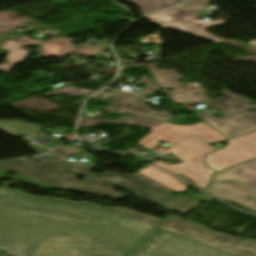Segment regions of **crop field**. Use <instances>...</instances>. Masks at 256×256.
Segmentation results:
<instances>
[{
	"label": "crop field",
	"instance_id": "bd1437ed",
	"mask_svg": "<svg viewBox=\"0 0 256 256\" xmlns=\"http://www.w3.org/2000/svg\"><path fill=\"white\" fill-rule=\"evenodd\" d=\"M13 247H16V248H19V249H23L24 247H25V245L24 244H21V243H19V242H13L12 244H11Z\"/></svg>",
	"mask_w": 256,
	"mask_h": 256
},
{
	"label": "crop field",
	"instance_id": "22f410ed",
	"mask_svg": "<svg viewBox=\"0 0 256 256\" xmlns=\"http://www.w3.org/2000/svg\"><path fill=\"white\" fill-rule=\"evenodd\" d=\"M151 75H153L156 81L164 88V91H167V88H174L173 91H168L171 95L167 97L174 104L199 103L207 99V96L204 95L205 92L199 84H182L176 82L182 77L172 69L169 71L160 69ZM183 85H186L187 87H181Z\"/></svg>",
	"mask_w": 256,
	"mask_h": 256
},
{
	"label": "crop field",
	"instance_id": "4177f3b9",
	"mask_svg": "<svg viewBox=\"0 0 256 256\" xmlns=\"http://www.w3.org/2000/svg\"><path fill=\"white\" fill-rule=\"evenodd\" d=\"M139 82L144 84L145 86L149 87L145 90L137 92L140 95H143V94L149 93L151 91L160 89V87L158 85L152 83L146 76H143V77L139 78Z\"/></svg>",
	"mask_w": 256,
	"mask_h": 256
},
{
	"label": "crop field",
	"instance_id": "120bbe31",
	"mask_svg": "<svg viewBox=\"0 0 256 256\" xmlns=\"http://www.w3.org/2000/svg\"><path fill=\"white\" fill-rule=\"evenodd\" d=\"M1 251V250H0Z\"/></svg>",
	"mask_w": 256,
	"mask_h": 256
},
{
	"label": "crop field",
	"instance_id": "e52e79f7",
	"mask_svg": "<svg viewBox=\"0 0 256 256\" xmlns=\"http://www.w3.org/2000/svg\"><path fill=\"white\" fill-rule=\"evenodd\" d=\"M202 7H190L167 10L156 13L146 19L151 20L166 28L183 30L189 34L217 42L224 40L206 31L207 28L225 24L226 21L203 22L196 19Z\"/></svg>",
	"mask_w": 256,
	"mask_h": 256
},
{
	"label": "crop field",
	"instance_id": "733c2abd",
	"mask_svg": "<svg viewBox=\"0 0 256 256\" xmlns=\"http://www.w3.org/2000/svg\"><path fill=\"white\" fill-rule=\"evenodd\" d=\"M139 173L177 191V192H181L184 191L186 187L184 184H182L181 182L173 179L171 176H168L167 173L165 172H161L159 169H155L151 166L146 167L142 170L139 171Z\"/></svg>",
	"mask_w": 256,
	"mask_h": 256
},
{
	"label": "crop field",
	"instance_id": "1d83c4d3",
	"mask_svg": "<svg viewBox=\"0 0 256 256\" xmlns=\"http://www.w3.org/2000/svg\"><path fill=\"white\" fill-rule=\"evenodd\" d=\"M246 46L256 49V40L247 43Z\"/></svg>",
	"mask_w": 256,
	"mask_h": 256
},
{
	"label": "crop field",
	"instance_id": "dd49c442",
	"mask_svg": "<svg viewBox=\"0 0 256 256\" xmlns=\"http://www.w3.org/2000/svg\"><path fill=\"white\" fill-rule=\"evenodd\" d=\"M53 164L72 170L77 173L89 174L100 176L115 184L128 188L136 192V194L142 198H145L154 203H160L170 197L174 192L138 173L134 175H119L111 172H107L102 175L89 173L90 167L80 162H70L68 159L58 156L46 155ZM57 158L58 161H54ZM149 188L150 190H147Z\"/></svg>",
	"mask_w": 256,
	"mask_h": 256
},
{
	"label": "crop field",
	"instance_id": "730fd06b",
	"mask_svg": "<svg viewBox=\"0 0 256 256\" xmlns=\"http://www.w3.org/2000/svg\"><path fill=\"white\" fill-rule=\"evenodd\" d=\"M142 44H148V43H161V39L158 35H149L145 39H141Z\"/></svg>",
	"mask_w": 256,
	"mask_h": 256
},
{
	"label": "crop field",
	"instance_id": "34b2d1b8",
	"mask_svg": "<svg viewBox=\"0 0 256 256\" xmlns=\"http://www.w3.org/2000/svg\"><path fill=\"white\" fill-rule=\"evenodd\" d=\"M213 177V181L205 191L256 212V159L236 165ZM215 180L235 181L236 184L217 183ZM247 196L253 199L248 201L245 199Z\"/></svg>",
	"mask_w": 256,
	"mask_h": 256
},
{
	"label": "crop field",
	"instance_id": "412701ff",
	"mask_svg": "<svg viewBox=\"0 0 256 256\" xmlns=\"http://www.w3.org/2000/svg\"><path fill=\"white\" fill-rule=\"evenodd\" d=\"M195 137L190 136L168 147V150L172 151L173 155L184 161L183 163L169 165L158 161L154 165L170 173L183 174L191 178L202 189L211 181L210 175L215 173L203 164L202 159L205 154L214 149Z\"/></svg>",
	"mask_w": 256,
	"mask_h": 256
},
{
	"label": "crop field",
	"instance_id": "cbeb9de0",
	"mask_svg": "<svg viewBox=\"0 0 256 256\" xmlns=\"http://www.w3.org/2000/svg\"><path fill=\"white\" fill-rule=\"evenodd\" d=\"M95 96L112 98L115 100V104L104 108L106 110L117 111V112L144 116V117H150V118H155V119L164 120V121L175 119L169 114L151 110L150 108H148L146 105H144L142 102H140L137 99L138 97L137 95H133L130 93L100 92Z\"/></svg>",
	"mask_w": 256,
	"mask_h": 256
},
{
	"label": "crop field",
	"instance_id": "5142ce71",
	"mask_svg": "<svg viewBox=\"0 0 256 256\" xmlns=\"http://www.w3.org/2000/svg\"><path fill=\"white\" fill-rule=\"evenodd\" d=\"M222 93L224 94L223 98L217 99L215 101L206 100L204 102L225 114L240 110V108H246L250 106V103L253 102L242 96L232 94L228 90L222 91Z\"/></svg>",
	"mask_w": 256,
	"mask_h": 256
},
{
	"label": "crop field",
	"instance_id": "eef30255",
	"mask_svg": "<svg viewBox=\"0 0 256 256\" xmlns=\"http://www.w3.org/2000/svg\"><path fill=\"white\" fill-rule=\"evenodd\" d=\"M126 226H128V227H130V228H132V229H134L136 231H140V232H143V233L147 232V228L146 227L141 226V225H139L137 223H134L132 221L127 222Z\"/></svg>",
	"mask_w": 256,
	"mask_h": 256
},
{
	"label": "crop field",
	"instance_id": "d8731c3e",
	"mask_svg": "<svg viewBox=\"0 0 256 256\" xmlns=\"http://www.w3.org/2000/svg\"><path fill=\"white\" fill-rule=\"evenodd\" d=\"M256 158V131L228 140L225 148L205 156V164L216 172Z\"/></svg>",
	"mask_w": 256,
	"mask_h": 256
},
{
	"label": "crop field",
	"instance_id": "ac0d7876",
	"mask_svg": "<svg viewBox=\"0 0 256 256\" xmlns=\"http://www.w3.org/2000/svg\"><path fill=\"white\" fill-rule=\"evenodd\" d=\"M38 160L40 164L35 163ZM0 167L32 178L60 190L79 191L121 199L123 196L114 191L115 184L100 178L86 177L77 182V173L53 166L44 156L32 160L24 159L15 162L0 163Z\"/></svg>",
	"mask_w": 256,
	"mask_h": 256
},
{
	"label": "crop field",
	"instance_id": "f4fd0767",
	"mask_svg": "<svg viewBox=\"0 0 256 256\" xmlns=\"http://www.w3.org/2000/svg\"><path fill=\"white\" fill-rule=\"evenodd\" d=\"M158 226L234 256H256V242L214 232L180 218L170 217Z\"/></svg>",
	"mask_w": 256,
	"mask_h": 256
},
{
	"label": "crop field",
	"instance_id": "d1516ede",
	"mask_svg": "<svg viewBox=\"0 0 256 256\" xmlns=\"http://www.w3.org/2000/svg\"><path fill=\"white\" fill-rule=\"evenodd\" d=\"M0 36L11 39L26 46H28L29 44L44 45V47L35 51L40 58H45L49 56L65 57L68 54V52H70L71 54L88 56L92 53H95L106 48L101 46H92L90 44L85 43H82L81 46L71 45L73 41L72 39H50L47 42H44L27 38L25 35H22L20 33H17L11 37L3 34H0Z\"/></svg>",
	"mask_w": 256,
	"mask_h": 256
},
{
	"label": "crop field",
	"instance_id": "bc2a9ffb",
	"mask_svg": "<svg viewBox=\"0 0 256 256\" xmlns=\"http://www.w3.org/2000/svg\"><path fill=\"white\" fill-rule=\"evenodd\" d=\"M0 129L12 136H21L28 132L39 129V127L20 121H0Z\"/></svg>",
	"mask_w": 256,
	"mask_h": 256
},
{
	"label": "crop field",
	"instance_id": "3316defc",
	"mask_svg": "<svg viewBox=\"0 0 256 256\" xmlns=\"http://www.w3.org/2000/svg\"><path fill=\"white\" fill-rule=\"evenodd\" d=\"M36 254L42 256H124L80 238H53Z\"/></svg>",
	"mask_w": 256,
	"mask_h": 256
},
{
	"label": "crop field",
	"instance_id": "a9b5d70f",
	"mask_svg": "<svg viewBox=\"0 0 256 256\" xmlns=\"http://www.w3.org/2000/svg\"><path fill=\"white\" fill-rule=\"evenodd\" d=\"M84 149H81L78 146H62L50 153L52 154H60V155H68V156H72L80 151H82Z\"/></svg>",
	"mask_w": 256,
	"mask_h": 256
},
{
	"label": "crop field",
	"instance_id": "750c4746",
	"mask_svg": "<svg viewBox=\"0 0 256 256\" xmlns=\"http://www.w3.org/2000/svg\"><path fill=\"white\" fill-rule=\"evenodd\" d=\"M24 213H28V214H44V213H39V212H24ZM46 215H50V214H46ZM50 216H54V217L61 218V219H66V218H63V217L55 216V215H50ZM66 220H71V219H66ZM71 221H77V220H71ZM77 222H80V221H77Z\"/></svg>",
	"mask_w": 256,
	"mask_h": 256
},
{
	"label": "crop field",
	"instance_id": "5a996713",
	"mask_svg": "<svg viewBox=\"0 0 256 256\" xmlns=\"http://www.w3.org/2000/svg\"><path fill=\"white\" fill-rule=\"evenodd\" d=\"M149 129L152 131V133L137 144L151 148L160 140L174 143L190 134H194L208 143H215L226 140V138H224L222 135L217 133L203 122H200L194 126H176L173 124L165 123Z\"/></svg>",
	"mask_w": 256,
	"mask_h": 256
},
{
	"label": "crop field",
	"instance_id": "4a817a6b",
	"mask_svg": "<svg viewBox=\"0 0 256 256\" xmlns=\"http://www.w3.org/2000/svg\"><path fill=\"white\" fill-rule=\"evenodd\" d=\"M141 8L142 15L148 14L171 5L177 4L182 0H128Z\"/></svg>",
	"mask_w": 256,
	"mask_h": 256
},
{
	"label": "crop field",
	"instance_id": "dafd665d",
	"mask_svg": "<svg viewBox=\"0 0 256 256\" xmlns=\"http://www.w3.org/2000/svg\"><path fill=\"white\" fill-rule=\"evenodd\" d=\"M108 208L116 210V211L121 212L123 214L129 215L131 217L137 218L139 220H142L144 222L150 223V224L155 225V226L161 221V219H157V218H153V217H149V216H144V215H141V214H139L137 212H134V211H128V210L113 208V207H108Z\"/></svg>",
	"mask_w": 256,
	"mask_h": 256
},
{
	"label": "crop field",
	"instance_id": "00972430",
	"mask_svg": "<svg viewBox=\"0 0 256 256\" xmlns=\"http://www.w3.org/2000/svg\"><path fill=\"white\" fill-rule=\"evenodd\" d=\"M89 92H92V90L70 87V88H66V89H62V90H58V91H54V92H50V93H46V94L47 95L67 94L71 97H76V96L83 95V94H86Z\"/></svg>",
	"mask_w": 256,
	"mask_h": 256
},
{
	"label": "crop field",
	"instance_id": "d9b57169",
	"mask_svg": "<svg viewBox=\"0 0 256 256\" xmlns=\"http://www.w3.org/2000/svg\"><path fill=\"white\" fill-rule=\"evenodd\" d=\"M101 123H117V124H134L142 127H152L161 123H165L162 121L157 120H150V119H144V118H138V117H130L126 116L120 120H92V119H82L79 126H94Z\"/></svg>",
	"mask_w": 256,
	"mask_h": 256
},
{
	"label": "crop field",
	"instance_id": "ae1a2a85",
	"mask_svg": "<svg viewBox=\"0 0 256 256\" xmlns=\"http://www.w3.org/2000/svg\"><path fill=\"white\" fill-rule=\"evenodd\" d=\"M185 196H187V197H189V198H191V199H193V200H195V201H197L199 203L204 201V200L212 199V197H210V196H208L206 194H203L201 196H195L193 194H187Z\"/></svg>",
	"mask_w": 256,
	"mask_h": 256
},
{
	"label": "crop field",
	"instance_id": "28ad6ade",
	"mask_svg": "<svg viewBox=\"0 0 256 256\" xmlns=\"http://www.w3.org/2000/svg\"><path fill=\"white\" fill-rule=\"evenodd\" d=\"M196 115L230 139L256 130V106L219 119L206 112Z\"/></svg>",
	"mask_w": 256,
	"mask_h": 256
},
{
	"label": "crop field",
	"instance_id": "214f88e0",
	"mask_svg": "<svg viewBox=\"0 0 256 256\" xmlns=\"http://www.w3.org/2000/svg\"><path fill=\"white\" fill-rule=\"evenodd\" d=\"M163 207L169 210L176 211L178 213L186 215L190 212L198 203L186 198L175 197L161 204Z\"/></svg>",
	"mask_w": 256,
	"mask_h": 256
},
{
	"label": "crop field",
	"instance_id": "8a807250",
	"mask_svg": "<svg viewBox=\"0 0 256 256\" xmlns=\"http://www.w3.org/2000/svg\"><path fill=\"white\" fill-rule=\"evenodd\" d=\"M0 205L20 210L39 211L81 220L80 223L45 215H28L0 206V247L24 256L34 252L52 237H80L114 252L131 255L159 229L150 224L92 203H69L52 198L33 197L13 189H0ZM133 220L148 227V233L136 232L125 223ZM26 244L24 250L10 246L14 241ZM134 256H230L162 230Z\"/></svg>",
	"mask_w": 256,
	"mask_h": 256
},
{
	"label": "crop field",
	"instance_id": "d3111659",
	"mask_svg": "<svg viewBox=\"0 0 256 256\" xmlns=\"http://www.w3.org/2000/svg\"><path fill=\"white\" fill-rule=\"evenodd\" d=\"M210 0H190L186 3H184V6H190V5H206L208 6V4Z\"/></svg>",
	"mask_w": 256,
	"mask_h": 256
},
{
	"label": "crop field",
	"instance_id": "92a150f3",
	"mask_svg": "<svg viewBox=\"0 0 256 256\" xmlns=\"http://www.w3.org/2000/svg\"><path fill=\"white\" fill-rule=\"evenodd\" d=\"M15 105H17L18 107L35 109L42 112H45L47 110H50L52 108L59 106L44 98H32L22 102L15 103Z\"/></svg>",
	"mask_w": 256,
	"mask_h": 256
}]
</instances>
